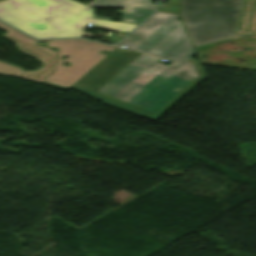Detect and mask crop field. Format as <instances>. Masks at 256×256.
<instances>
[{
  "instance_id": "obj_1",
  "label": "crop field",
  "mask_w": 256,
  "mask_h": 256,
  "mask_svg": "<svg viewBox=\"0 0 256 256\" xmlns=\"http://www.w3.org/2000/svg\"><path fill=\"white\" fill-rule=\"evenodd\" d=\"M178 16L156 12L120 44L133 50L174 59L167 66L160 57L131 51L87 88L156 112L190 84L196 73L185 62L195 52Z\"/></svg>"
},
{
  "instance_id": "obj_2",
  "label": "crop field",
  "mask_w": 256,
  "mask_h": 256,
  "mask_svg": "<svg viewBox=\"0 0 256 256\" xmlns=\"http://www.w3.org/2000/svg\"><path fill=\"white\" fill-rule=\"evenodd\" d=\"M94 9L72 0H5L0 19L36 38L81 37L87 22L95 28L129 33L137 25L92 19Z\"/></svg>"
},
{
  "instance_id": "obj_3",
  "label": "crop field",
  "mask_w": 256,
  "mask_h": 256,
  "mask_svg": "<svg viewBox=\"0 0 256 256\" xmlns=\"http://www.w3.org/2000/svg\"><path fill=\"white\" fill-rule=\"evenodd\" d=\"M181 17L194 46L256 35V0H182Z\"/></svg>"
},
{
  "instance_id": "obj_4",
  "label": "crop field",
  "mask_w": 256,
  "mask_h": 256,
  "mask_svg": "<svg viewBox=\"0 0 256 256\" xmlns=\"http://www.w3.org/2000/svg\"><path fill=\"white\" fill-rule=\"evenodd\" d=\"M47 46L58 48L53 71L46 77L45 84L68 89L91 68L106 57L98 53L102 50L113 51L115 47L81 39L49 40ZM62 55L71 65L62 67Z\"/></svg>"
},
{
  "instance_id": "obj_5",
  "label": "crop field",
  "mask_w": 256,
  "mask_h": 256,
  "mask_svg": "<svg viewBox=\"0 0 256 256\" xmlns=\"http://www.w3.org/2000/svg\"><path fill=\"white\" fill-rule=\"evenodd\" d=\"M0 28L8 32L5 37L15 42L19 51L28 54L43 63L42 69L40 70L24 72L20 67L0 62V74L11 75L43 83L45 77L52 71L56 52L50 51V48L46 47V43H39L38 46H35V40L5 26L2 23H0ZM41 45H44L45 48H41ZM26 50L29 52L26 53Z\"/></svg>"
},
{
  "instance_id": "obj_6",
  "label": "crop field",
  "mask_w": 256,
  "mask_h": 256,
  "mask_svg": "<svg viewBox=\"0 0 256 256\" xmlns=\"http://www.w3.org/2000/svg\"><path fill=\"white\" fill-rule=\"evenodd\" d=\"M151 0H93L88 6L125 7L124 10H117L122 14L121 21L139 24L157 7V4L150 3Z\"/></svg>"
},
{
  "instance_id": "obj_7",
  "label": "crop field",
  "mask_w": 256,
  "mask_h": 256,
  "mask_svg": "<svg viewBox=\"0 0 256 256\" xmlns=\"http://www.w3.org/2000/svg\"><path fill=\"white\" fill-rule=\"evenodd\" d=\"M82 35H83V36H87V37H91V38L96 37L95 35H93V33H91V32H86V31H84Z\"/></svg>"
},
{
  "instance_id": "obj_8",
  "label": "crop field",
  "mask_w": 256,
  "mask_h": 256,
  "mask_svg": "<svg viewBox=\"0 0 256 256\" xmlns=\"http://www.w3.org/2000/svg\"><path fill=\"white\" fill-rule=\"evenodd\" d=\"M93 18L113 20V18H109V17H99V16H94Z\"/></svg>"
}]
</instances>
